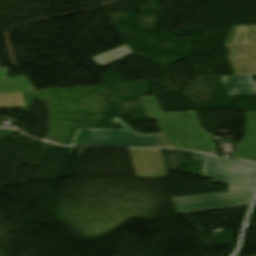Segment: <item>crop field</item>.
<instances>
[{"instance_id": "ac0d7876", "label": "crop field", "mask_w": 256, "mask_h": 256, "mask_svg": "<svg viewBox=\"0 0 256 256\" xmlns=\"http://www.w3.org/2000/svg\"><path fill=\"white\" fill-rule=\"evenodd\" d=\"M211 180L229 185V192L172 198L179 215L250 206L256 193L255 187Z\"/></svg>"}, {"instance_id": "8a807250", "label": "crop field", "mask_w": 256, "mask_h": 256, "mask_svg": "<svg viewBox=\"0 0 256 256\" xmlns=\"http://www.w3.org/2000/svg\"><path fill=\"white\" fill-rule=\"evenodd\" d=\"M141 99L149 118L158 119L163 133L140 135L116 118L123 130L77 129L71 146L185 148L217 154L212 134L201 129L195 111L163 114L154 96Z\"/></svg>"}, {"instance_id": "dd49c442", "label": "crop field", "mask_w": 256, "mask_h": 256, "mask_svg": "<svg viewBox=\"0 0 256 256\" xmlns=\"http://www.w3.org/2000/svg\"><path fill=\"white\" fill-rule=\"evenodd\" d=\"M25 106L26 104L23 93L0 95V108H23Z\"/></svg>"}, {"instance_id": "34b2d1b8", "label": "crop field", "mask_w": 256, "mask_h": 256, "mask_svg": "<svg viewBox=\"0 0 256 256\" xmlns=\"http://www.w3.org/2000/svg\"><path fill=\"white\" fill-rule=\"evenodd\" d=\"M203 161L201 177L256 186V164L194 153Z\"/></svg>"}, {"instance_id": "412701ff", "label": "crop field", "mask_w": 256, "mask_h": 256, "mask_svg": "<svg viewBox=\"0 0 256 256\" xmlns=\"http://www.w3.org/2000/svg\"><path fill=\"white\" fill-rule=\"evenodd\" d=\"M252 77L256 74L223 76L222 82L230 96L256 94V84ZM247 127L244 140L238 145L234 155L238 159L256 162V112H246Z\"/></svg>"}, {"instance_id": "f4fd0767", "label": "crop field", "mask_w": 256, "mask_h": 256, "mask_svg": "<svg viewBox=\"0 0 256 256\" xmlns=\"http://www.w3.org/2000/svg\"><path fill=\"white\" fill-rule=\"evenodd\" d=\"M133 55L132 51L129 49L128 45L121 47L119 49L110 51L108 53L94 57L98 64L103 67L120 59H123L127 56ZM96 62V63H97Z\"/></svg>"}]
</instances>
